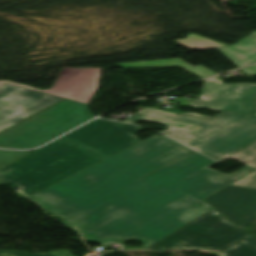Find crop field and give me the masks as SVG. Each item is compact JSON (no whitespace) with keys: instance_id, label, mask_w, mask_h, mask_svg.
<instances>
[{"instance_id":"733c2abd","label":"crop field","mask_w":256,"mask_h":256,"mask_svg":"<svg viewBox=\"0 0 256 256\" xmlns=\"http://www.w3.org/2000/svg\"><path fill=\"white\" fill-rule=\"evenodd\" d=\"M29 152H15V151H5L0 150V169L6 165L18 160L19 158L29 154ZM0 185H7L2 180H0Z\"/></svg>"},{"instance_id":"d1516ede","label":"crop field","mask_w":256,"mask_h":256,"mask_svg":"<svg viewBox=\"0 0 256 256\" xmlns=\"http://www.w3.org/2000/svg\"><path fill=\"white\" fill-rule=\"evenodd\" d=\"M219 51L238 67L256 62V31L238 43Z\"/></svg>"},{"instance_id":"34b2d1b8","label":"crop field","mask_w":256,"mask_h":256,"mask_svg":"<svg viewBox=\"0 0 256 256\" xmlns=\"http://www.w3.org/2000/svg\"><path fill=\"white\" fill-rule=\"evenodd\" d=\"M94 117L86 104L65 99L1 133L0 147L34 148Z\"/></svg>"},{"instance_id":"d8731c3e","label":"crop field","mask_w":256,"mask_h":256,"mask_svg":"<svg viewBox=\"0 0 256 256\" xmlns=\"http://www.w3.org/2000/svg\"><path fill=\"white\" fill-rule=\"evenodd\" d=\"M61 99L63 98L42 94L7 83L1 85L0 131L30 117Z\"/></svg>"},{"instance_id":"d9b57169","label":"crop field","mask_w":256,"mask_h":256,"mask_svg":"<svg viewBox=\"0 0 256 256\" xmlns=\"http://www.w3.org/2000/svg\"><path fill=\"white\" fill-rule=\"evenodd\" d=\"M229 158L242 161L256 167V143L230 156Z\"/></svg>"},{"instance_id":"ac0d7876","label":"crop field","mask_w":256,"mask_h":256,"mask_svg":"<svg viewBox=\"0 0 256 256\" xmlns=\"http://www.w3.org/2000/svg\"><path fill=\"white\" fill-rule=\"evenodd\" d=\"M101 161L86 149L57 140L0 170V179L27 197Z\"/></svg>"},{"instance_id":"4a817a6b","label":"crop field","mask_w":256,"mask_h":256,"mask_svg":"<svg viewBox=\"0 0 256 256\" xmlns=\"http://www.w3.org/2000/svg\"><path fill=\"white\" fill-rule=\"evenodd\" d=\"M0 256H72L68 250L40 253V254H25L16 251H0Z\"/></svg>"},{"instance_id":"f4fd0767","label":"crop field","mask_w":256,"mask_h":256,"mask_svg":"<svg viewBox=\"0 0 256 256\" xmlns=\"http://www.w3.org/2000/svg\"><path fill=\"white\" fill-rule=\"evenodd\" d=\"M246 116L248 115L223 112L210 118L194 113L175 114L145 107L132 117L130 116L131 118H127L128 120L125 122H176L195 126L188 131L167 129L161 132L162 134L191 147Z\"/></svg>"},{"instance_id":"214f88e0","label":"crop field","mask_w":256,"mask_h":256,"mask_svg":"<svg viewBox=\"0 0 256 256\" xmlns=\"http://www.w3.org/2000/svg\"><path fill=\"white\" fill-rule=\"evenodd\" d=\"M161 124L167 126L168 128H171V129H186L187 130L192 127V126L175 124V123H161Z\"/></svg>"},{"instance_id":"00972430","label":"crop field","mask_w":256,"mask_h":256,"mask_svg":"<svg viewBox=\"0 0 256 256\" xmlns=\"http://www.w3.org/2000/svg\"><path fill=\"white\" fill-rule=\"evenodd\" d=\"M252 114L256 115V103H255V107H254Z\"/></svg>"},{"instance_id":"5142ce71","label":"crop field","mask_w":256,"mask_h":256,"mask_svg":"<svg viewBox=\"0 0 256 256\" xmlns=\"http://www.w3.org/2000/svg\"><path fill=\"white\" fill-rule=\"evenodd\" d=\"M176 41L183 44L184 46H186L191 50L219 48V47L228 46V45H225L216 41H212L206 38H202L193 34H189V36L184 40H176Z\"/></svg>"},{"instance_id":"8a807250","label":"crop field","mask_w":256,"mask_h":256,"mask_svg":"<svg viewBox=\"0 0 256 256\" xmlns=\"http://www.w3.org/2000/svg\"><path fill=\"white\" fill-rule=\"evenodd\" d=\"M154 135L30 199L63 219L86 241L132 239L152 245L209 210L202 199L254 168L223 175L197 152Z\"/></svg>"},{"instance_id":"cbeb9de0","label":"crop field","mask_w":256,"mask_h":256,"mask_svg":"<svg viewBox=\"0 0 256 256\" xmlns=\"http://www.w3.org/2000/svg\"><path fill=\"white\" fill-rule=\"evenodd\" d=\"M220 256H256V238L249 235L221 251Z\"/></svg>"},{"instance_id":"bc2a9ffb","label":"crop field","mask_w":256,"mask_h":256,"mask_svg":"<svg viewBox=\"0 0 256 256\" xmlns=\"http://www.w3.org/2000/svg\"><path fill=\"white\" fill-rule=\"evenodd\" d=\"M232 185L256 189V171L236 181Z\"/></svg>"},{"instance_id":"e52e79f7","label":"crop field","mask_w":256,"mask_h":256,"mask_svg":"<svg viewBox=\"0 0 256 256\" xmlns=\"http://www.w3.org/2000/svg\"><path fill=\"white\" fill-rule=\"evenodd\" d=\"M200 99L188 100L193 109H209L249 114L256 98V85H224L222 77L204 81Z\"/></svg>"},{"instance_id":"92a150f3","label":"crop field","mask_w":256,"mask_h":256,"mask_svg":"<svg viewBox=\"0 0 256 256\" xmlns=\"http://www.w3.org/2000/svg\"><path fill=\"white\" fill-rule=\"evenodd\" d=\"M244 72L256 74V65L242 69Z\"/></svg>"},{"instance_id":"412701ff","label":"crop field","mask_w":256,"mask_h":256,"mask_svg":"<svg viewBox=\"0 0 256 256\" xmlns=\"http://www.w3.org/2000/svg\"><path fill=\"white\" fill-rule=\"evenodd\" d=\"M249 233L211 210L145 250L204 249L221 251Z\"/></svg>"},{"instance_id":"28ad6ade","label":"crop field","mask_w":256,"mask_h":256,"mask_svg":"<svg viewBox=\"0 0 256 256\" xmlns=\"http://www.w3.org/2000/svg\"><path fill=\"white\" fill-rule=\"evenodd\" d=\"M205 200L241 228L254 220L256 190L228 186Z\"/></svg>"},{"instance_id":"5a996713","label":"crop field","mask_w":256,"mask_h":256,"mask_svg":"<svg viewBox=\"0 0 256 256\" xmlns=\"http://www.w3.org/2000/svg\"><path fill=\"white\" fill-rule=\"evenodd\" d=\"M256 142V116L250 115L191 147L215 160H222Z\"/></svg>"},{"instance_id":"22f410ed","label":"crop field","mask_w":256,"mask_h":256,"mask_svg":"<svg viewBox=\"0 0 256 256\" xmlns=\"http://www.w3.org/2000/svg\"><path fill=\"white\" fill-rule=\"evenodd\" d=\"M116 66H120L123 68H148V67H169V66H180L202 78L216 75V73L202 67L197 66L193 67L186 64L181 59H169V60H160V61H150V62H140V63H123L118 64Z\"/></svg>"},{"instance_id":"dd49c442","label":"crop field","mask_w":256,"mask_h":256,"mask_svg":"<svg viewBox=\"0 0 256 256\" xmlns=\"http://www.w3.org/2000/svg\"><path fill=\"white\" fill-rule=\"evenodd\" d=\"M142 128L97 119L61 139L84 147L91 154L103 160L140 142L134 132Z\"/></svg>"},{"instance_id":"3316defc","label":"crop field","mask_w":256,"mask_h":256,"mask_svg":"<svg viewBox=\"0 0 256 256\" xmlns=\"http://www.w3.org/2000/svg\"><path fill=\"white\" fill-rule=\"evenodd\" d=\"M102 70L103 69L97 68L78 69L65 67L50 90L36 91L88 104L98 87V81ZM5 82L35 90L33 87L9 81H0V85Z\"/></svg>"},{"instance_id":"dafd665d","label":"crop field","mask_w":256,"mask_h":256,"mask_svg":"<svg viewBox=\"0 0 256 256\" xmlns=\"http://www.w3.org/2000/svg\"><path fill=\"white\" fill-rule=\"evenodd\" d=\"M173 101L174 102H180V104L182 106L190 107L186 98H180V99H176V100H173Z\"/></svg>"}]
</instances>
